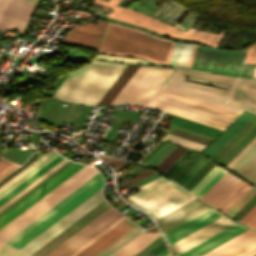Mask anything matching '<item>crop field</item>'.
<instances>
[{"label":"crop field","mask_w":256,"mask_h":256,"mask_svg":"<svg viewBox=\"0 0 256 256\" xmlns=\"http://www.w3.org/2000/svg\"><path fill=\"white\" fill-rule=\"evenodd\" d=\"M254 113L244 111L218 138L208 145L202 152L212 156L232 135H234Z\"/></svg>","instance_id":"crop-field-18"},{"label":"crop field","mask_w":256,"mask_h":256,"mask_svg":"<svg viewBox=\"0 0 256 256\" xmlns=\"http://www.w3.org/2000/svg\"><path fill=\"white\" fill-rule=\"evenodd\" d=\"M29 1H32V2L36 3L37 0H29Z\"/></svg>","instance_id":"crop-field-65"},{"label":"crop field","mask_w":256,"mask_h":256,"mask_svg":"<svg viewBox=\"0 0 256 256\" xmlns=\"http://www.w3.org/2000/svg\"><path fill=\"white\" fill-rule=\"evenodd\" d=\"M3 13L8 14L10 16H13L15 18H18V19L26 22L31 13V10H28L26 8H23V7H20L18 5L8 2L5 9L3 10Z\"/></svg>","instance_id":"crop-field-32"},{"label":"crop field","mask_w":256,"mask_h":256,"mask_svg":"<svg viewBox=\"0 0 256 256\" xmlns=\"http://www.w3.org/2000/svg\"><path fill=\"white\" fill-rule=\"evenodd\" d=\"M174 69L152 67L126 102L146 105Z\"/></svg>","instance_id":"crop-field-12"},{"label":"crop field","mask_w":256,"mask_h":256,"mask_svg":"<svg viewBox=\"0 0 256 256\" xmlns=\"http://www.w3.org/2000/svg\"><path fill=\"white\" fill-rule=\"evenodd\" d=\"M57 153L53 154L51 157H49L47 160H45L43 163H41L39 166H37L35 169H33L31 172H29L27 175H25L23 178H21L19 181H17L15 184H13L11 187L6 189L4 192L0 194V198L4 196L6 193H8L10 190L15 188L17 185H19L21 182H23L25 179H27L29 176H31L33 173H35L37 170H39L41 167H43L45 164H47L49 161H51L53 158H55Z\"/></svg>","instance_id":"crop-field-41"},{"label":"crop field","mask_w":256,"mask_h":256,"mask_svg":"<svg viewBox=\"0 0 256 256\" xmlns=\"http://www.w3.org/2000/svg\"><path fill=\"white\" fill-rule=\"evenodd\" d=\"M154 100H157V101L169 104V105H173V106H176V107H179V108H182V109H185V110H188V111H191V112H194V113H197V114L209 117V118H213V119H216V120L228 123V124H230L232 121V119H229V118L217 115V114H213V113H210V112H207V111H204V110H201V109H198V108H195V107H192V106H189V105L177 102V101H173V100H170V99L158 96V95L155 96Z\"/></svg>","instance_id":"crop-field-27"},{"label":"crop field","mask_w":256,"mask_h":256,"mask_svg":"<svg viewBox=\"0 0 256 256\" xmlns=\"http://www.w3.org/2000/svg\"><path fill=\"white\" fill-rule=\"evenodd\" d=\"M150 171H151V170H150ZM148 172H149V171H148ZM146 173H147V172H146ZM153 173H155V172H154V171H151V172H149V173H147V174L144 173L145 175L142 174L143 176L140 175L141 177L138 176L139 178L136 177L137 179L134 178L135 180L132 179L133 181L130 180L131 182L128 181L129 183L126 182L127 184L124 183L125 185L122 184L123 186L120 185L121 187H119V186H118V187H119V189H121V188H123V187H125V186H127V185H129V184H131V183H134V182H136V181H138V180H140V179H142V178H145V177H147V176H149V175H151V174H153Z\"/></svg>","instance_id":"crop-field-53"},{"label":"crop field","mask_w":256,"mask_h":256,"mask_svg":"<svg viewBox=\"0 0 256 256\" xmlns=\"http://www.w3.org/2000/svg\"><path fill=\"white\" fill-rule=\"evenodd\" d=\"M127 0H123L119 5H123Z\"/></svg>","instance_id":"crop-field-63"},{"label":"crop field","mask_w":256,"mask_h":256,"mask_svg":"<svg viewBox=\"0 0 256 256\" xmlns=\"http://www.w3.org/2000/svg\"><path fill=\"white\" fill-rule=\"evenodd\" d=\"M158 95H161V96L173 99V100H177V101H180V102H183V103H186V104H189V105H192V106H195V107H198V108H201V109L213 112V113H217V114H220V115L232 118V119H234L235 117L238 116V114H235V113H232V112H229V111H226V110H223V109H220V108H217V107H214V106L202 103V102H198V101H195V100H192V99H189V98H186V97H183V96H180V95H177V94H174V93L162 90V89H160V91L158 92Z\"/></svg>","instance_id":"crop-field-23"},{"label":"crop field","mask_w":256,"mask_h":256,"mask_svg":"<svg viewBox=\"0 0 256 256\" xmlns=\"http://www.w3.org/2000/svg\"><path fill=\"white\" fill-rule=\"evenodd\" d=\"M80 168L82 167L72 164L68 165L66 168H64L54 177L49 179L35 191H33L20 202L15 204L13 207H11L0 216V228H2L4 225H6L8 222H10L12 219H14L16 216H18L20 213H22L24 210H26L28 207H30L32 204L42 198L44 195H46L48 192H50L52 189H54L56 186H58L60 183H62L64 180H66L68 177L78 171Z\"/></svg>","instance_id":"crop-field-10"},{"label":"crop field","mask_w":256,"mask_h":256,"mask_svg":"<svg viewBox=\"0 0 256 256\" xmlns=\"http://www.w3.org/2000/svg\"><path fill=\"white\" fill-rule=\"evenodd\" d=\"M98 156L106 160L109 164H111L115 168L126 162V161H122V160H118V159H114V158H110L102 155H98Z\"/></svg>","instance_id":"crop-field-47"},{"label":"crop field","mask_w":256,"mask_h":256,"mask_svg":"<svg viewBox=\"0 0 256 256\" xmlns=\"http://www.w3.org/2000/svg\"><path fill=\"white\" fill-rule=\"evenodd\" d=\"M196 45L194 46V49H193V52H192V56H191V59H190V62H189V67L191 66V63H192V60H193V56H194V53H195V50H196Z\"/></svg>","instance_id":"crop-field-59"},{"label":"crop field","mask_w":256,"mask_h":256,"mask_svg":"<svg viewBox=\"0 0 256 256\" xmlns=\"http://www.w3.org/2000/svg\"><path fill=\"white\" fill-rule=\"evenodd\" d=\"M47 101H48L47 98H43L42 97V99L40 101V105H39L38 111H37V114L35 113L38 117H39L40 113L42 112L44 106L46 105Z\"/></svg>","instance_id":"crop-field-54"},{"label":"crop field","mask_w":256,"mask_h":256,"mask_svg":"<svg viewBox=\"0 0 256 256\" xmlns=\"http://www.w3.org/2000/svg\"><path fill=\"white\" fill-rule=\"evenodd\" d=\"M67 160H62L60 163H58L56 166H54L52 169H50L48 172H46L44 175H42L40 178H38L36 181L31 183L29 186H27L25 189H23L21 192H19L17 195H15L13 198H11L9 201H7L5 204L0 206V211L4 209L6 206H8L10 203H12L14 200H16L18 197H20L22 194H24L26 191H28L30 188H32L34 185H36L38 182H40L42 179L47 177L49 174H51L53 171H55L57 168H59L61 165H63Z\"/></svg>","instance_id":"crop-field-35"},{"label":"crop field","mask_w":256,"mask_h":256,"mask_svg":"<svg viewBox=\"0 0 256 256\" xmlns=\"http://www.w3.org/2000/svg\"><path fill=\"white\" fill-rule=\"evenodd\" d=\"M256 214V206L241 220L243 223H247Z\"/></svg>","instance_id":"crop-field-52"},{"label":"crop field","mask_w":256,"mask_h":256,"mask_svg":"<svg viewBox=\"0 0 256 256\" xmlns=\"http://www.w3.org/2000/svg\"><path fill=\"white\" fill-rule=\"evenodd\" d=\"M256 155V143L253 144L230 168L240 171Z\"/></svg>","instance_id":"crop-field-34"},{"label":"crop field","mask_w":256,"mask_h":256,"mask_svg":"<svg viewBox=\"0 0 256 256\" xmlns=\"http://www.w3.org/2000/svg\"><path fill=\"white\" fill-rule=\"evenodd\" d=\"M0 256H28V255L4 244L0 251Z\"/></svg>","instance_id":"crop-field-43"},{"label":"crop field","mask_w":256,"mask_h":256,"mask_svg":"<svg viewBox=\"0 0 256 256\" xmlns=\"http://www.w3.org/2000/svg\"><path fill=\"white\" fill-rule=\"evenodd\" d=\"M139 66L130 65L126 72L122 75L119 81L111 89L108 95L104 98L100 105L109 104L110 101L115 97L119 90L124 86V84L129 80L133 73L138 69ZM112 102V101H111Z\"/></svg>","instance_id":"crop-field-30"},{"label":"crop field","mask_w":256,"mask_h":256,"mask_svg":"<svg viewBox=\"0 0 256 256\" xmlns=\"http://www.w3.org/2000/svg\"><path fill=\"white\" fill-rule=\"evenodd\" d=\"M164 248H166V246H165L164 242H161L159 245H157L155 248H153L151 251H149L144 256H155L160 251H162Z\"/></svg>","instance_id":"crop-field-48"},{"label":"crop field","mask_w":256,"mask_h":256,"mask_svg":"<svg viewBox=\"0 0 256 256\" xmlns=\"http://www.w3.org/2000/svg\"><path fill=\"white\" fill-rule=\"evenodd\" d=\"M101 189H99L57 222H55L53 225H51L49 228H47L45 231H43L25 246H23L20 250L29 254L33 253L63 229L68 227L70 224H72L74 221H76L78 218H80L82 215H84L86 212L104 200L101 195Z\"/></svg>","instance_id":"crop-field-9"},{"label":"crop field","mask_w":256,"mask_h":256,"mask_svg":"<svg viewBox=\"0 0 256 256\" xmlns=\"http://www.w3.org/2000/svg\"><path fill=\"white\" fill-rule=\"evenodd\" d=\"M162 89H165V90H168V91H171V92H174V93H177V94H180V95H183V96H186V97L198 100V101H202V102H205V103H208V104H211V105H214V106H217V107H220V108H223V109H226V110L238 113V114H240L243 111L241 109H238V108L226 105V104H222V103H219V102H216V101H213V100H210V99H207V98H204V97H201V96H198V95L186 92V91H182V90H179V89L167 86V85H163Z\"/></svg>","instance_id":"crop-field-29"},{"label":"crop field","mask_w":256,"mask_h":256,"mask_svg":"<svg viewBox=\"0 0 256 256\" xmlns=\"http://www.w3.org/2000/svg\"><path fill=\"white\" fill-rule=\"evenodd\" d=\"M227 103L256 112V80L239 77Z\"/></svg>","instance_id":"crop-field-15"},{"label":"crop field","mask_w":256,"mask_h":256,"mask_svg":"<svg viewBox=\"0 0 256 256\" xmlns=\"http://www.w3.org/2000/svg\"><path fill=\"white\" fill-rule=\"evenodd\" d=\"M225 173L226 171L215 165L190 191L201 197Z\"/></svg>","instance_id":"crop-field-25"},{"label":"crop field","mask_w":256,"mask_h":256,"mask_svg":"<svg viewBox=\"0 0 256 256\" xmlns=\"http://www.w3.org/2000/svg\"><path fill=\"white\" fill-rule=\"evenodd\" d=\"M148 106L162 109V110L168 111L170 113H173V114H176V115H179V116H182V117H185V118L197 121V122H201V123H204V124H207V125H210V126L222 129V130H224L228 126V124H225V123L213 120V119H209V118H206V117H203V116H200V115H197V114H194V113H191V112H188V111H185V110L173 107V106H169V105H166V104L154 101V100H152Z\"/></svg>","instance_id":"crop-field-19"},{"label":"crop field","mask_w":256,"mask_h":256,"mask_svg":"<svg viewBox=\"0 0 256 256\" xmlns=\"http://www.w3.org/2000/svg\"><path fill=\"white\" fill-rule=\"evenodd\" d=\"M96 58L107 59V60H116V61H124V62L150 63V62H148L144 59L118 57V56H110V55H103V54H97ZM151 64H153V63H151ZM171 67H175V66H171ZM193 71H195V70H193ZM197 72H201V71H197ZM202 73H207V72H202Z\"/></svg>","instance_id":"crop-field-39"},{"label":"crop field","mask_w":256,"mask_h":256,"mask_svg":"<svg viewBox=\"0 0 256 256\" xmlns=\"http://www.w3.org/2000/svg\"><path fill=\"white\" fill-rule=\"evenodd\" d=\"M194 45L175 44L169 64L187 66Z\"/></svg>","instance_id":"crop-field-28"},{"label":"crop field","mask_w":256,"mask_h":256,"mask_svg":"<svg viewBox=\"0 0 256 256\" xmlns=\"http://www.w3.org/2000/svg\"><path fill=\"white\" fill-rule=\"evenodd\" d=\"M236 78L237 77L215 74H197L176 69L166 83L225 102ZM185 80L197 81L225 89Z\"/></svg>","instance_id":"crop-field-5"},{"label":"crop field","mask_w":256,"mask_h":256,"mask_svg":"<svg viewBox=\"0 0 256 256\" xmlns=\"http://www.w3.org/2000/svg\"><path fill=\"white\" fill-rule=\"evenodd\" d=\"M164 139L178 143V144H182V145H185V146L197 149V150H201L202 148L205 147V145H202V144H199V143H196V142H193V141H190V140H187V139H184V138H181V137L169 134V133H167V135L165 136Z\"/></svg>","instance_id":"crop-field-36"},{"label":"crop field","mask_w":256,"mask_h":256,"mask_svg":"<svg viewBox=\"0 0 256 256\" xmlns=\"http://www.w3.org/2000/svg\"><path fill=\"white\" fill-rule=\"evenodd\" d=\"M109 1H113L118 4L121 0H109ZM94 3L100 4L112 9V3L105 2L103 0H95Z\"/></svg>","instance_id":"crop-field-51"},{"label":"crop field","mask_w":256,"mask_h":256,"mask_svg":"<svg viewBox=\"0 0 256 256\" xmlns=\"http://www.w3.org/2000/svg\"><path fill=\"white\" fill-rule=\"evenodd\" d=\"M2 243H0V247H1Z\"/></svg>","instance_id":"crop-field-66"},{"label":"crop field","mask_w":256,"mask_h":256,"mask_svg":"<svg viewBox=\"0 0 256 256\" xmlns=\"http://www.w3.org/2000/svg\"><path fill=\"white\" fill-rule=\"evenodd\" d=\"M247 229L237 223L178 256H200Z\"/></svg>","instance_id":"crop-field-17"},{"label":"crop field","mask_w":256,"mask_h":256,"mask_svg":"<svg viewBox=\"0 0 256 256\" xmlns=\"http://www.w3.org/2000/svg\"><path fill=\"white\" fill-rule=\"evenodd\" d=\"M168 251V249L166 248L165 250H163L161 253H159L157 256H163L165 255Z\"/></svg>","instance_id":"crop-field-60"},{"label":"crop field","mask_w":256,"mask_h":256,"mask_svg":"<svg viewBox=\"0 0 256 256\" xmlns=\"http://www.w3.org/2000/svg\"><path fill=\"white\" fill-rule=\"evenodd\" d=\"M252 77H256V66H255L254 73H253Z\"/></svg>","instance_id":"crop-field-62"},{"label":"crop field","mask_w":256,"mask_h":256,"mask_svg":"<svg viewBox=\"0 0 256 256\" xmlns=\"http://www.w3.org/2000/svg\"><path fill=\"white\" fill-rule=\"evenodd\" d=\"M165 256H172V255H171V253L169 252V253H167Z\"/></svg>","instance_id":"crop-field-64"},{"label":"crop field","mask_w":256,"mask_h":256,"mask_svg":"<svg viewBox=\"0 0 256 256\" xmlns=\"http://www.w3.org/2000/svg\"><path fill=\"white\" fill-rule=\"evenodd\" d=\"M256 249V238L224 256H244Z\"/></svg>","instance_id":"crop-field-37"},{"label":"crop field","mask_w":256,"mask_h":256,"mask_svg":"<svg viewBox=\"0 0 256 256\" xmlns=\"http://www.w3.org/2000/svg\"><path fill=\"white\" fill-rule=\"evenodd\" d=\"M126 217H121L119 220H117L115 223H113L111 226H109L107 229H105L103 232H101L100 234H98L96 237H94L92 240H90L88 243H86L84 246H82L80 249H78L77 251H75L73 254H71L70 256H75L77 255L79 252H81L83 249H85L87 246H89L91 243H93L95 240H97L99 237H101L103 234H105L107 231H109L111 228H113L115 225H117L119 222H121L123 219H125Z\"/></svg>","instance_id":"crop-field-42"},{"label":"crop field","mask_w":256,"mask_h":256,"mask_svg":"<svg viewBox=\"0 0 256 256\" xmlns=\"http://www.w3.org/2000/svg\"><path fill=\"white\" fill-rule=\"evenodd\" d=\"M151 67L140 66L139 69L134 73L130 80L125 84V86L120 90L116 97L112 100L110 104H117L125 102L129 95L133 92L136 86L140 83L143 77L147 74Z\"/></svg>","instance_id":"crop-field-24"},{"label":"crop field","mask_w":256,"mask_h":256,"mask_svg":"<svg viewBox=\"0 0 256 256\" xmlns=\"http://www.w3.org/2000/svg\"><path fill=\"white\" fill-rule=\"evenodd\" d=\"M117 9H122V7L114 4L113 10ZM107 17L146 27L172 37L204 42L210 46H214V48H216L219 40L223 35L222 32L220 35H216L191 28L189 31L185 32L169 26L161 21H154L155 19L131 9L117 10L109 14ZM181 33L182 35H180Z\"/></svg>","instance_id":"crop-field-6"},{"label":"crop field","mask_w":256,"mask_h":256,"mask_svg":"<svg viewBox=\"0 0 256 256\" xmlns=\"http://www.w3.org/2000/svg\"><path fill=\"white\" fill-rule=\"evenodd\" d=\"M126 66L93 61L70 73L53 97L96 105Z\"/></svg>","instance_id":"crop-field-1"},{"label":"crop field","mask_w":256,"mask_h":256,"mask_svg":"<svg viewBox=\"0 0 256 256\" xmlns=\"http://www.w3.org/2000/svg\"><path fill=\"white\" fill-rule=\"evenodd\" d=\"M256 142V137L249 142L228 164L227 166H231L253 143Z\"/></svg>","instance_id":"crop-field-46"},{"label":"crop field","mask_w":256,"mask_h":256,"mask_svg":"<svg viewBox=\"0 0 256 256\" xmlns=\"http://www.w3.org/2000/svg\"><path fill=\"white\" fill-rule=\"evenodd\" d=\"M121 216L111 207L48 253L46 256H69Z\"/></svg>","instance_id":"crop-field-8"},{"label":"crop field","mask_w":256,"mask_h":256,"mask_svg":"<svg viewBox=\"0 0 256 256\" xmlns=\"http://www.w3.org/2000/svg\"><path fill=\"white\" fill-rule=\"evenodd\" d=\"M103 180L102 176L97 173L15 236H13L10 241V245L20 248L100 187H102Z\"/></svg>","instance_id":"crop-field-3"},{"label":"crop field","mask_w":256,"mask_h":256,"mask_svg":"<svg viewBox=\"0 0 256 256\" xmlns=\"http://www.w3.org/2000/svg\"><path fill=\"white\" fill-rule=\"evenodd\" d=\"M208 160L205 157L179 184L183 186Z\"/></svg>","instance_id":"crop-field-45"},{"label":"crop field","mask_w":256,"mask_h":256,"mask_svg":"<svg viewBox=\"0 0 256 256\" xmlns=\"http://www.w3.org/2000/svg\"><path fill=\"white\" fill-rule=\"evenodd\" d=\"M12 163L6 161V160H3L1 159L0 160V173L5 170L7 167H9Z\"/></svg>","instance_id":"crop-field-55"},{"label":"crop field","mask_w":256,"mask_h":256,"mask_svg":"<svg viewBox=\"0 0 256 256\" xmlns=\"http://www.w3.org/2000/svg\"><path fill=\"white\" fill-rule=\"evenodd\" d=\"M97 172L99 171L87 165L84 166L82 169H80L78 172H76L74 175H72L70 178H68L66 181H64L62 184H60L58 187H56L54 190H52L50 193H48L46 196H44L42 199L32 205L30 208H28L26 211H24L22 214H20L2 229H0V237L3 238L2 241L5 242L7 239H9L23 227H25L35 218L40 216L42 213H44L66 195L71 193L73 190H75Z\"/></svg>","instance_id":"crop-field-4"},{"label":"crop field","mask_w":256,"mask_h":256,"mask_svg":"<svg viewBox=\"0 0 256 256\" xmlns=\"http://www.w3.org/2000/svg\"><path fill=\"white\" fill-rule=\"evenodd\" d=\"M166 142L165 141H161L154 149L153 151H157L160 147H162ZM154 154V152H150L141 162L145 163L152 155Z\"/></svg>","instance_id":"crop-field-50"},{"label":"crop field","mask_w":256,"mask_h":256,"mask_svg":"<svg viewBox=\"0 0 256 256\" xmlns=\"http://www.w3.org/2000/svg\"><path fill=\"white\" fill-rule=\"evenodd\" d=\"M247 225L256 229V215L247 223Z\"/></svg>","instance_id":"crop-field-58"},{"label":"crop field","mask_w":256,"mask_h":256,"mask_svg":"<svg viewBox=\"0 0 256 256\" xmlns=\"http://www.w3.org/2000/svg\"><path fill=\"white\" fill-rule=\"evenodd\" d=\"M62 159H64V158L61 157L60 155L57 156L55 159H53L51 162H49L47 165H45L43 168H41L39 171H37L31 177H29L27 180H25L23 183H21L19 186H17L11 192H9L7 195H5L3 198H1L0 205L5 203L7 200H9L11 197H13L15 194H17L19 191H21L23 188H25L31 182L36 180L38 177H40L42 174H44L46 171H48L50 168H52L54 165H56L58 162H60Z\"/></svg>","instance_id":"crop-field-26"},{"label":"crop field","mask_w":256,"mask_h":256,"mask_svg":"<svg viewBox=\"0 0 256 256\" xmlns=\"http://www.w3.org/2000/svg\"><path fill=\"white\" fill-rule=\"evenodd\" d=\"M53 152L54 151H52L51 149L48 150L46 153H44L42 156H40L38 159H36L34 162H32L26 168H24L22 171H20L18 174H16L10 180H8L6 183H4L2 186H0V192L3 191L5 188H7L9 185H11L13 182H15L17 179H19L21 176H23L25 173H27L29 170H31L33 167H35L37 164H39L41 161H43L45 158H47L49 155H51Z\"/></svg>","instance_id":"crop-field-33"},{"label":"crop field","mask_w":256,"mask_h":256,"mask_svg":"<svg viewBox=\"0 0 256 256\" xmlns=\"http://www.w3.org/2000/svg\"><path fill=\"white\" fill-rule=\"evenodd\" d=\"M190 150H191V149L186 150V151L180 156V158L165 172V174H166V173H167V172H168V171L186 154V153H188ZM191 151H192V150H191ZM191 151H190V152H191ZM190 152H189V153H190ZM189 153H188V154H189ZM195 153H196V152L192 151L189 155L187 154L188 156L185 155V156H184V157L166 174V175L168 176V175L170 174V172L187 156V157L171 172V174L168 176V177L171 178L179 169H181V168L183 167V165H184L188 160H190V159L194 156ZM200 155H201V154L196 153L195 156H194L190 161H188V162L184 165V167H183L180 171H178L171 179H173V180L175 181L181 174H183V173L188 169V167H189ZM202 157H203V156L201 155V156L190 166V168H189L183 175H181L175 182L177 183V182H178V181H179V180H180V179H181V178H182V177H183V176H184V175L202 158ZM203 158H204V157H203ZM203 158H202V159H203ZM202 159H201V160H202ZM201 160H200V161H201ZM200 161H199V162H200ZM199 162H198V163H199ZM198 163H197V164H198ZM197 164H196V165H197ZM196 165H195V166H196ZM195 166H194V167H195ZM194 167H193V168H194ZM193 168H192V169H193ZM192 169H191V170H192ZM191 170H190V171H191ZM190 171H189V172H190ZM189 172H188V173H189ZM188 173H187V174H188ZM187 174H186V175H187ZM186 175H185V176H186ZM185 176H184V177H185ZM184 177H183V178H184ZM183 178H182V179H183ZM182 179H181V180H182ZM181 180H180V181H181ZM180 181H179V182H180ZM179 182H178V183H179Z\"/></svg>","instance_id":"crop-field-22"},{"label":"crop field","mask_w":256,"mask_h":256,"mask_svg":"<svg viewBox=\"0 0 256 256\" xmlns=\"http://www.w3.org/2000/svg\"><path fill=\"white\" fill-rule=\"evenodd\" d=\"M229 173L227 172L201 197L226 213L252 187Z\"/></svg>","instance_id":"crop-field-7"},{"label":"crop field","mask_w":256,"mask_h":256,"mask_svg":"<svg viewBox=\"0 0 256 256\" xmlns=\"http://www.w3.org/2000/svg\"><path fill=\"white\" fill-rule=\"evenodd\" d=\"M256 194V185L228 212L232 217Z\"/></svg>","instance_id":"crop-field-40"},{"label":"crop field","mask_w":256,"mask_h":256,"mask_svg":"<svg viewBox=\"0 0 256 256\" xmlns=\"http://www.w3.org/2000/svg\"><path fill=\"white\" fill-rule=\"evenodd\" d=\"M235 223L236 222L232 221L224 215L202 227L201 229L193 232L192 234L186 236L185 238L170 245V247L178 255Z\"/></svg>","instance_id":"crop-field-13"},{"label":"crop field","mask_w":256,"mask_h":256,"mask_svg":"<svg viewBox=\"0 0 256 256\" xmlns=\"http://www.w3.org/2000/svg\"><path fill=\"white\" fill-rule=\"evenodd\" d=\"M174 44L140 30L110 24L99 52L139 56L168 64Z\"/></svg>","instance_id":"crop-field-2"},{"label":"crop field","mask_w":256,"mask_h":256,"mask_svg":"<svg viewBox=\"0 0 256 256\" xmlns=\"http://www.w3.org/2000/svg\"><path fill=\"white\" fill-rule=\"evenodd\" d=\"M158 236L159 232H142L111 256H133Z\"/></svg>","instance_id":"crop-field-20"},{"label":"crop field","mask_w":256,"mask_h":256,"mask_svg":"<svg viewBox=\"0 0 256 256\" xmlns=\"http://www.w3.org/2000/svg\"><path fill=\"white\" fill-rule=\"evenodd\" d=\"M224 214L215 209H210L201 215L189 220L188 222L178 226L177 228L165 233L168 243H172L181 237L191 233L192 231L202 227L203 225L213 221Z\"/></svg>","instance_id":"crop-field-16"},{"label":"crop field","mask_w":256,"mask_h":256,"mask_svg":"<svg viewBox=\"0 0 256 256\" xmlns=\"http://www.w3.org/2000/svg\"><path fill=\"white\" fill-rule=\"evenodd\" d=\"M172 0H165L160 7L155 11V13L152 15V17H155L157 19H161L163 15L171 8V6L174 4ZM180 5L174 4L172 8L164 15V17L161 19L162 21L168 23L169 20L172 18V16L176 13V11L179 9Z\"/></svg>","instance_id":"crop-field-31"},{"label":"crop field","mask_w":256,"mask_h":256,"mask_svg":"<svg viewBox=\"0 0 256 256\" xmlns=\"http://www.w3.org/2000/svg\"><path fill=\"white\" fill-rule=\"evenodd\" d=\"M255 254H256V250L253 251V252H251L250 254H248V255H246V256H253V255H255Z\"/></svg>","instance_id":"crop-field-61"},{"label":"crop field","mask_w":256,"mask_h":256,"mask_svg":"<svg viewBox=\"0 0 256 256\" xmlns=\"http://www.w3.org/2000/svg\"><path fill=\"white\" fill-rule=\"evenodd\" d=\"M98 24L87 23L81 26L76 25L70 30L61 43L80 45L98 50L108 23L96 21Z\"/></svg>","instance_id":"crop-field-11"},{"label":"crop field","mask_w":256,"mask_h":256,"mask_svg":"<svg viewBox=\"0 0 256 256\" xmlns=\"http://www.w3.org/2000/svg\"><path fill=\"white\" fill-rule=\"evenodd\" d=\"M244 62L256 63V44L248 48Z\"/></svg>","instance_id":"crop-field-44"},{"label":"crop field","mask_w":256,"mask_h":256,"mask_svg":"<svg viewBox=\"0 0 256 256\" xmlns=\"http://www.w3.org/2000/svg\"><path fill=\"white\" fill-rule=\"evenodd\" d=\"M249 181L256 182V156L239 172Z\"/></svg>","instance_id":"crop-field-38"},{"label":"crop field","mask_w":256,"mask_h":256,"mask_svg":"<svg viewBox=\"0 0 256 256\" xmlns=\"http://www.w3.org/2000/svg\"><path fill=\"white\" fill-rule=\"evenodd\" d=\"M210 208L208 203L197 197L158 220L167 232Z\"/></svg>","instance_id":"crop-field-14"},{"label":"crop field","mask_w":256,"mask_h":256,"mask_svg":"<svg viewBox=\"0 0 256 256\" xmlns=\"http://www.w3.org/2000/svg\"><path fill=\"white\" fill-rule=\"evenodd\" d=\"M16 167H18L17 165L13 164L11 165L9 168H7L5 171H3L0 174V179H2L4 176H6L8 173H10L12 170H14Z\"/></svg>","instance_id":"crop-field-56"},{"label":"crop field","mask_w":256,"mask_h":256,"mask_svg":"<svg viewBox=\"0 0 256 256\" xmlns=\"http://www.w3.org/2000/svg\"><path fill=\"white\" fill-rule=\"evenodd\" d=\"M10 2H13L15 4L21 5L23 7L29 8V9H33L34 3L29 2L27 0H10Z\"/></svg>","instance_id":"crop-field-49"},{"label":"crop field","mask_w":256,"mask_h":256,"mask_svg":"<svg viewBox=\"0 0 256 256\" xmlns=\"http://www.w3.org/2000/svg\"><path fill=\"white\" fill-rule=\"evenodd\" d=\"M256 237V232L249 229L240 235L232 238L231 240L223 243L222 245L214 248L213 250L205 253L202 256H222L229 251L239 247L240 245L250 241L251 239Z\"/></svg>","instance_id":"crop-field-21"},{"label":"crop field","mask_w":256,"mask_h":256,"mask_svg":"<svg viewBox=\"0 0 256 256\" xmlns=\"http://www.w3.org/2000/svg\"><path fill=\"white\" fill-rule=\"evenodd\" d=\"M254 66H255V65L249 64V67H248V69H247V72H246V75H245V76H248V77H251V76H252Z\"/></svg>","instance_id":"crop-field-57"}]
</instances>
